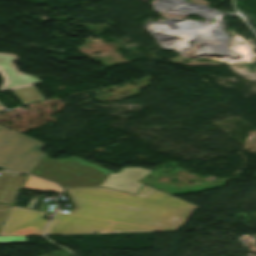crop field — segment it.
I'll use <instances>...</instances> for the list:
<instances>
[{
    "mask_svg": "<svg viewBox=\"0 0 256 256\" xmlns=\"http://www.w3.org/2000/svg\"><path fill=\"white\" fill-rule=\"evenodd\" d=\"M64 190L74 208L68 215L57 213L45 234L165 231L132 224L176 231L197 209L145 185L136 195L106 188Z\"/></svg>",
    "mask_w": 256,
    "mask_h": 256,
    "instance_id": "1",
    "label": "crop field"
},
{
    "mask_svg": "<svg viewBox=\"0 0 256 256\" xmlns=\"http://www.w3.org/2000/svg\"><path fill=\"white\" fill-rule=\"evenodd\" d=\"M111 171L72 156L52 160L45 156L29 173L62 187L100 186Z\"/></svg>",
    "mask_w": 256,
    "mask_h": 256,
    "instance_id": "2",
    "label": "crop field"
},
{
    "mask_svg": "<svg viewBox=\"0 0 256 256\" xmlns=\"http://www.w3.org/2000/svg\"><path fill=\"white\" fill-rule=\"evenodd\" d=\"M43 148V144L0 126L1 168L29 173L42 158Z\"/></svg>",
    "mask_w": 256,
    "mask_h": 256,
    "instance_id": "3",
    "label": "crop field"
},
{
    "mask_svg": "<svg viewBox=\"0 0 256 256\" xmlns=\"http://www.w3.org/2000/svg\"><path fill=\"white\" fill-rule=\"evenodd\" d=\"M45 214L44 212L13 207L0 236L42 235L48 223V220L43 219Z\"/></svg>",
    "mask_w": 256,
    "mask_h": 256,
    "instance_id": "4",
    "label": "crop field"
},
{
    "mask_svg": "<svg viewBox=\"0 0 256 256\" xmlns=\"http://www.w3.org/2000/svg\"><path fill=\"white\" fill-rule=\"evenodd\" d=\"M17 59L16 55L0 54V74L4 79L0 92L41 83L34 77L18 72L12 63Z\"/></svg>",
    "mask_w": 256,
    "mask_h": 256,
    "instance_id": "5",
    "label": "crop field"
},
{
    "mask_svg": "<svg viewBox=\"0 0 256 256\" xmlns=\"http://www.w3.org/2000/svg\"><path fill=\"white\" fill-rule=\"evenodd\" d=\"M149 171L142 168H125L117 174L111 173L101 186L136 194L142 186L138 180Z\"/></svg>",
    "mask_w": 256,
    "mask_h": 256,
    "instance_id": "6",
    "label": "crop field"
},
{
    "mask_svg": "<svg viewBox=\"0 0 256 256\" xmlns=\"http://www.w3.org/2000/svg\"><path fill=\"white\" fill-rule=\"evenodd\" d=\"M25 179V176L1 172L0 203L13 205Z\"/></svg>",
    "mask_w": 256,
    "mask_h": 256,
    "instance_id": "7",
    "label": "crop field"
},
{
    "mask_svg": "<svg viewBox=\"0 0 256 256\" xmlns=\"http://www.w3.org/2000/svg\"><path fill=\"white\" fill-rule=\"evenodd\" d=\"M23 188L61 193L60 188L57 187L56 185L46 182L44 180L35 178L30 175H28V178H27Z\"/></svg>",
    "mask_w": 256,
    "mask_h": 256,
    "instance_id": "8",
    "label": "crop field"
},
{
    "mask_svg": "<svg viewBox=\"0 0 256 256\" xmlns=\"http://www.w3.org/2000/svg\"><path fill=\"white\" fill-rule=\"evenodd\" d=\"M36 90L33 86H30V87L14 90L13 92L22 101L23 104H26V103L43 99Z\"/></svg>",
    "mask_w": 256,
    "mask_h": 256,
    "instance_id": "9",
    "label": "crop field"
},
{
    "mask_svg": "<svg viewBox=\"0 0 256 256\" xmlns=\"http://www.w3.org/2000/svg\"><path fill=\"white\" fill-rule=\"evenodd\" d=\"M10 209H11L10 206H5L0 204V230L8 216Z\"/></svg>",
    "mask_w": 256,
    "mask_h": 256,
    "instance_id": "10",
    "label": "crop field"
},
{
    "mask_svg": "<svg viewBox=\"0 0 256 256\" xmlns=\"http://www.w3.org/2000/svg\"><path fill=\"white\" fill-rule=\"evenodd\" d=\"M26 242L25 236L0 237V243Z\"/></svg>",
    "mask_w": 256,
    "mask_h": 256,
    "instance_id": "11",
    "label": "crop field"
},
{
    "mask_svg": "<svg viewBox=\"0 0 256 256\" xmlns=\"http://www.w3.org/2000/svg\"><path fill=\"white\" fill-rule=\"evenodd\" d=\"M6 110H7L6 108H4L2 105H0V112L6 111Z\"/></svg>",
    "mask_w": 256,
    "mask_h": 256,
    "instance_id": "12",
    "label": "crop field"
}]
</instances>
